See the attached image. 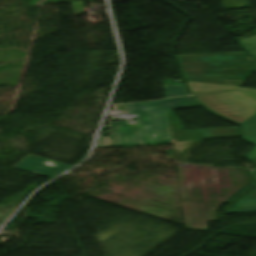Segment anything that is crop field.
<instances>
[{"label": "crop field", "mask_w": 256, "mask_h": 256, "mask_svg": "<svg viewBox=\"0 0 256 256\" xmlns=\"http://www.w3.org/2000/svg\"><path fill=\"white\" fill-rule=\"evenodd\" d=\"M186 221H217L216 210L238 189L236 169L177 166Z\"/></svg>", "instance_id": "8a807250"}, {"label": "crop field", "mask_w": 256, "mask_h": 256, "mask_svg": "<svg viewBox=\"0 0 256 256\" xmlns=\"http://www.w3.org/2000/svg\"><path fill=\"white\" fill-rule=\"evenodd\" d=\"M190 97L124 104L126 114H137V133L110 134L109 148L172 144L167 109L197 106Z\"/></svg>", "instance_id": "ac0d7876"}, {"label": "crop field", "mask_w": 256, "mask_h": 256, "mask_svg": "<svg viewBox=\"0 0 256 256\" xmlns=\"http://www.w3.org/2000/svg\"><path fill=\"white\" fill-rule=\"evenodd\" d=\"M186 80L244 81L256 68L245 54L177 58Z\"/></svg>", "instance_id": "34b2d1b8"}, {"label": "crop field", "mask_w": 256, "mask_h": 256, "mask_svg": "<svg viewBox=\"0 0 256 256\" xmlns=\"http://www.w3.org/2000/svg\"><path fill=\"white\" fill-rule=\"evenodd\" d=\"M193 97L209 110L238 124L256 113V94L252 92L231 91Z\"/></svg>", "instance_id": "412701ff"}, {"label": "crop field", "mask_w": 256, "mask_h": 256, "mask_svg": "<svg viewBox=\"0 0 256 256\" xmlns=\"http://www.w3.org/2000/svg\"><path fill=\"white\" fill-rule=\"evenodd\" d=\"M173 143L201 142V139L240 136L238 127L183 131L172 110H168Z\"/></svg>", "instance_id": "f4fd0767"}, {"label": "crop field", "mask_w": 256, "mask_h": 256, "mask_svg": "<svg viewBox=\"0 0 256 256\" xmlns=\"http://www.w3.org/2000/svg\"><path fill=\"white\" fill-rule=\"evenodd\" d=\"M70 167L71 166H67L61 163H57L30 154H28L14 166H12V168L24 170L27 172L35 173L50 178L58 175L59 173L65 171Z\"/></svg>", "instance_id": "dd49c442"}, {"label": "crop field", "mask_w": 256, "mask_h": 256, "mask_svg": "<svg viewBox=\"0 0 256 256\" xmlns=\"http://www.w3.org/2000/svg\"><path fill=\"white\" fill-rule=\"evenodd\" d=\"M188 89L191 94L194 93H203V92H213V91H223V90H231V89H245V88H235L217 84H209V83H201V82H192V81H185ZM245 90H252L256 92L255 89H245Z\"/></svg>", "instance_id": "e52e79f7"}, {"label": "crop field", "mask_w": 256, "mask_h": 256, "mask_svg": "<svg viewBox=\"0 0 256 256\" xmlns=\"http://www.w3.org/2000/svg\"><path fill=\"white\" fill-rule=\"evenodd\" d=\"M241 125L244 140L251 141L256 144V114ZM245 156L250 160L256 158V147Z\"/></svg>", "instance_id": "d8731c3e"}, {"label": "crop field", "mask_w": 256, "mask_h": 256, "mask_svg": "<svg viewBox=\"0 0 256 256\" xmlns=\"http://www.w3.org/2000/svg\"><path fill=\"white\" fill-rule=\"evenodd\" d=\"M110 133L132 132L125 121L109 122Z\"/></svg>", "instance_id": "5a996713"}, {"label": "crop field", "mask_w": 256, "mask_h": 256, "mask_svg": "<svg viewBox=\"0 0 256 256\" xmlns=\"http://www.w3.org/2000/svg\"><path fill=\"white\" fill-rule=\"evenodd\" d=\"M163 86L166 97L186 95L184 89L181 87L170 86L165 84H163Z\"/></svg>", "instance_id": "3316defc"}, {"label": "crop field", "mask_w": 256, "mask_h": 256, "mask_svg": "<svg viewBox=\"0 0 256 256\" xmlns=\"http://www.w3.org/2000/svg\"><path fill=\"white\" fill-rule=\"evenodd\" d=\"M109 137H99L95 148H108Z\"/></svg>", "instance_id": "28ad6ade"}, {"label": "crop field", "mask_w": 256, "mask_h": 256, "mask_svg": "<svg viewBox=\"0 0 256 256\" xmlns=\"http://www.w3.org/2000/svg\"><path fill=\"white\" fill-rule=\"evenodd\" d=\"M252 162L256 163V159L255 160H252ZM251 173L254 175V177L256 178V165L255 167L253 168V170L251 171Z\"/></svg>", "instance_id": "d1516ede"}]
</instances>
